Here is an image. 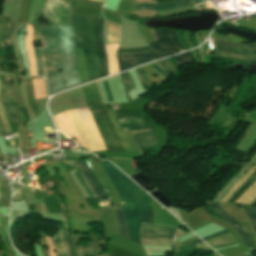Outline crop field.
Returning <instances> with one entry per match:
<instances>
[{"label":"crop field","instance_id":"obj_1","mask_svg":"<svg viewBox=\"0 0 256 256\" xmlns=\"http://www.w3.org/2000/svg\"><path fill=\"white\" fill-rule=\"evenodd\" d=\"M73 7V4L63 0H48L42 15L51 24L41 28L50 96L81 84L73 40ZM58 69H62L63 73H59Z\"/></svg>","mask_w":256,"mask_h":256},{"label":"crop field","instance_id":"obj_2","mask_svg":"<svg viewBox=\"0 0 256 256\" xmlns=\"http://www.w3.org/2000/svg\"><path fill=\"white\" fill-rule=\"evenodd\" d=\"M101 164L124 202L123 208L129 237L131 240L141 244L140 228L142 223L153 224L150 197L109 162L105 161L101 162ZM123 208L122 206H116V211L121 234L129 239Z\"/></svg>","mask_w":256,"mask_h":256},{"label":"crop field","instance_id":"obj_3","mask_svg":"<svg viewBox=\"0 0 256 256\" xmlns=\"http://www.w3.org/2000/svg\"><path fill=\"white\" fill-rule=\"evenodd\" d=\"M103 23L104 19H74V39L82 84L108 75Z\"/></svg>","mask_w":256,"mask_h":256},{"label":"crop field","instance_id":"obj_4","mask_svg":"<svg viewBox=\"0 0 256 256\" xmlns=\"http://www.w3.org/2000/svg\"><path fill=\"white\" fill-rule=\"evenodd\" d=\"M69 112L83 140L84 146L89 148L90 151L105 149L124 151L106 111L91 112L103 138L105 149L88 107L70 110Z\"/></svg>","mask_w":256,"mask_h":256},{"label":"crop field","instance_id":"obj_5","mask_svg":"<svg viewBox=\"0 0 256 256\" xmlns=\"http://www.w3.org/2000/svg\"><path fill=\"white\" fill-rule=\"evenodd\" d=\"M212 38L216 45L217 55L256 59V45L240 46L213 36Z\"/></svg>","mask_w":256,"mask_h":256},{"label":"crop field","instance_id":"obj_6","mask_svg":"<svg viewBox=\"0 0 256 256\" xmlns=\"http://www.w3.org/2000/svg\"><path fill=\"white\" fill-rule=\"evenodd\" d=\"M157 41L150 43L156 59L167 57L178 53L174 46L167 29H150Z\"/></svg>","mask_w":256,"mask_h":256},{"label":"crop field","instance_id":"obj_7","mask_svg":"<svg viewBox=\"0 0 256 256\" xmlns=\"http://www.w3.org/2000/svg\"><path fill=\"white\" fill-rule=\"evenodd\" d=\"M40 17H41V14L35 13L34 19H33V24H32L34 40H39L38 28H39ZM32 30H31V26L27 25V33L25 35V45H26V52H27L31 76H37L35 58H34V54H33Z\"/></svg>","mask_w":256,"mask_h":256},{"label":"crop field","instance_id":"obj_8","mask_svg":"<svg viewBox=\"0 0 256 256\" xmlns=\"http://www.w3.org/2000/svg\"><path fill=\"white\" fill-rule=\"evenodd\" d=\"M207 204L222 218H224L226 221H228L238 232L241 239L244 241L245 245L247 246L248 250L255 249V245L249 234L247 233L246 229L237 222L234 218H232L230 215H228L217 202H210L206 201Z\"/></svg>","mask_w":256,"mask_h":256},{"label":"crop field","instance_id":"obj_9","mask_svg":"<svg viewBox=\"0 0 256 256\" xmlns=\"http://www.w3.org/2000/svg\"><path fill=\"white\" fill-rule=\"evenodd\" d=\"M90 238L93 240L89 243V246L87 248L83 247V246H79L77 247L75 245V243H77L78 239H87V237L81 236V235H73L72 237V241L74 243V247L76 250V255L77 256H86V254H90V256H98V252L100 249L99 246H101L102 244H104V238H102L101 236H99L98 234H92L89 233ZM99 238H102L103 241H100ZM103 256H109L108 254H105Z\"/></svg>","mask_w":256,"mask_h":256},{"label":"crop field","instance_id":"obj_10","mask_svg":"<svg viewBox=\"0 0 256 256\" xmlns=\"http://www.w3.org/2000/svg\"><path fill=\"white\" fill-rule=\"evenodd\" d=\"M117 57H118L120 72L155 59L152 52L141 53V54H131V55H121Z\"/></svg>","mask_w":256,"mask_h":256},{"label":"crop field","instance_id":"obj_11","mask_svg":"<svg viewBox=\"0 0 256 256\" xmlns=\"http://www.w3.org/2000/svg\"><path fill=\"white\" fill-rule=\"evenodd\" d=\"M204 2V0H180L172 3H161V4H135L134 10H163L172 9L184 5L195 4Z\"/></svg>","mask_w":256,"mask_h":256},{"label":"crop field","instance_id":"obj_12","mask_svg":"<svg viewBox=\"0 0 256 256\" xmlns=\"http://www.w3.org/2000/svg\"><path fill=\"white\" fill-rule=\"evenodd\" d=\"M78 166L80 167L82 174L84 178L87 180L89 185L91 186L93 192L96 194L97 197H103L106 196L101 186L98 184V182L95 180V178L90 173L85 161H77Z\"/></svg>","mask_w":256,"mask_h":256},{"label":"crop field","instance_id":"obj_13","mask_svg":"<svg viewBox=\"0 0 256 256\" xmlns=\"http://www.w3.org/2000/svg\"><path fill=\"white\" fill-rule=\"evenodd\" d=\"M138 148L153 145L156 143V135L155 132L150 131H143V132H135L131 133Z\"/></svg>","mask_w":256,"mask_h":256},{"label":"crop field","instance_id":"obj_14","mask_svg":"<svg viewBox=\"0 0 256 256\" xmlns=\"http://www.w3.org/2000/svg\"><path fill=\"white\" fill-rule=\"evenodd\" d=\"M253 158V157H252ZM256 162V155L254 158L237 174L235 175L225 187L214 197L213 201H219L223 195L244 175V173L251 168Z\"/></svg>","mask_w":256,"mask_h":256},{"label":"crop field","instance_id":"obj_15","mask_svg":"<svg viewBox=\"0 0 256 256\" xmlns=\"http://www.w3.org/2000/svg\"><path fill=\"white\" fill-rule=\"evenodd\" d=\"M122 129L129 132L152 129L146 121L120 123Z\"/></svg>","mask_w":256,"mask_h":256},{"label":"crop field","instance_id":"obj_16","mask_svg":"<svg viewBox=\"0 0 256 256\" xmlns=\"http://www.w3.org/2000/svg\"><path fill=\"white\" fill-rule=\"evenodd\" d=\"M255 171L256 164L232 187V189L220 201L226 202Z\"/></svg>","mask_w":256,"mask_h":256},{"label":"crop field","instance_id":"obj_17","mask_svg":"<svg viewBox=\"0 0 256 256\" xmlns=\"http://www.w3.org/2000/svg\"><path fill=\"white\" fill-rule=\"evenodd\" d=\"M5 84L7 86L8 95H9L13 115L17 120V124L19 125L21 123V119H20V116H19V113H18V110H17V107H16L14 97H13V90H12V86L9 82V75H5Z\"/></svg>","mask_w":256,"mask_h":256},{"label":"crop field","instance_id":"obj_18","mask_svg":"<svg viewBox=\"0 0 256 256\" xmlns=\"http://www.w3.org/2000/svg\"><path fill=\"white\" fill-rule=\"evenodd\" d=\"M118 47H119V45H112L115 73L119 72L118 66H117V60H116V50ZM106 50H107V54H108V64H109L110 75H112V74H114V69H113V58H112V52H111V45H106Z\"/></svg>","mask_w":256,"mask_h":256},{"label":"crop field","instance_id":"obj_19","mask_svg":"<svg viewBox=\"0 0 256 256\" xmlns=\"http://www.w3.org/2000/svg\"><path fill=\"white\" fill-rule=\"evenodd\" d=\"M60 231H61L60 244H61L63 256H69L68 248H67V245H66V242H65L63 231L62 230H60ZM52 242H53L54 248L57 249L56 256H62V252H61V248H60L59 241H58V238H57V234L54 236Z\"/></svg>","mask_w":256,"mask_h":256},{"label":"crop field","instance_id":"obj_20","mask_svg":"<svg viewBox=\"0 0 256 256\" xmlns=\"http://www.w3.org/2000/svg\"><path fill=\"white\" fill-rule=\"evenodd\" d=\"M26 33V25L21 26V33L19 35V45H20V54L24 62V67L26 68V76H30L27 57L25 52V45H24V34Z\"/></svg>","mask_w":256,"mask_h":256},{"label":"crop field","instance_id":"obj_21","mask_svg":"<svg viewBox=\"0 0 256 256\" xmlns=\"http://www.w3.org/2000/svg\"><path fill=\"white\" fill-rule=\"evenodd\" d=\"M43 80H44L43 78L32 79V85H33V89H34L35 99L46 97L47 93L45 94V89H44V83H45V88H46V82L44 81V83H43Z\"/></svg>","mask_w":256,"mask_h":256},{"label":"crop field","instance_id":"obj_22","mask_svg":"<svg viewBox=\"0 0 256 256\" xmlns=\"http://www.w3.org/2000/svg\"><path fill=\"white\" fill-rule=\"evenodd\" d=\"M256 197V182L235 202L250 204Z\"/></svg>","mask_w":256,"mask_h":256},{"label":"crop field","instance_id":"obj_23","mask_svg":"<svg viewBox=\"0 0 256 256\" xmlns=\"http://www.w3.org/2000/svg\"><path fill=\"white\" fill-rule=\"evenodd\" d=\"M256 181V173L249 178V180L236 192V194L228 201L234 202L239 196H241L254 182Z\"/></svg>","mask_w":256,"mask_h":256},{"label":"crop field","instance_id":"obj_24","mask_svg":"<svg viewBox=\"0 0 256 256\" xmlns=\"http://www.w3.org/2000/svg\"><path fill=\"white\" fill-rule=\"evenodd\" d=\"M172 241L173 240L142 239V245L172 247Z\"/></svg>","mask_w":256,"mask_h":256},{"label":"crop field","instance_id":"obj_25","mask_svg":"<svg viewBox=\"0 0 256 256\" xmlns=\"http://www.w3.org/2000/svg\"><path fill=\"white\" fill-rule=\"evenodd\" d=\"M62 218H63L64 225L66 227L65 233H66V240H67V243H68L70 256H76L75 253H74V248L72 246V242H71V238H70L69 223L67 221V219H68L67 214H62Z\"/></svg>","mask_w":256,"mask_h":256},{"label":"crop field","instance_id":"obj_26","mask_svg":"<svg viewBox=\"0 0 256 256\" xmlns=\"http://www.w3.org/2000/svg\"><path fill=\"white\" fill-rule=\"evenodd\" d=\"M241 207L244 209V211L247 213L248 217L251 219L253 227L256 231V207L251 205H242Z\"/></svg>","mask_w":256,"mask_h":256},{"label":"crop field","instance_id":"obj_27","mask_svg":"<svg viewBox=\"0 0 256 256\" xmlns=\"http://www.w3.org/2000/svg\"><path fill=\"white\" fill-rule=\"evenodd\" d=\"M149 51H151L149 46L140 47V48H124V49H118L117 55L139 53V52H149Z\"/></svg>","mask_w":256,"mask_h":256},{"label":"crop field","instance_id":"obj_28","mask_svg":"<svg viewBox=\"0 0 256 256\" xmlns=\"http://www.w3.org/2000/svg\"><path fill=\"white\" fill-rule=\"evenodd\" d=\"M174 58L179 63L180 66L194 60L191 51L174 56Z\"/></svg>","mask_w":256,"mask_h":256},{"label":"crop field","instance_id":"obj_29","mask_svg":"<svg viewBox=\"0 0 256 256\" xmlns=\"http://www.w3.org/2000/svg\"><path fill=\"white\" fill-rule=\"evenodd\" d=\"M8 19L9 18L2 16L0 20V45H5V31Z\"/></svg>","mask_w":256,"mask_h":256},{"label":"crop field","instance_id":"obj_30","mask_svg":"<svg viewBox=\"0 0 256 256\" xmlns=\"http://www.w3.org/2000/svg\"><path fill=\"white\" fill-rule=\"evenodd\" d=\"M0 116H1V120H2V123H3V126L6 130V132L7 133H12L11 129H10L9 122H8L7 115H6V112H5V109L3 108V105L1 103V99H0Z\"/></svg>","mask_w":256,"mask_h":256},{"label":"crop field","instance_id":"obj_31","mask_svg":"<svg viewBox=\"0 0 256 256\" xmlns=\"http://www.w3.org/2000/svg\"><path fill=\"white\" fill-rule=\"evenodd\" d=\"M34 53H35V56H36V59H37L38 76H44V70H43V63H42L40 48L34 49Z\"/></svg>","mask_w":256,"mask_h":256},{"label":"crop field","instance_id":"obj_32","mask_svg":"<svg viewBox=\"0 0 256 256\" xmlns=\"http://www.w3.org/2000/svg\"><path fill=\"white\" fill-rule=\"evenodd\" d=\"M174 235L142 233V238L173 239Z\"/></svg>","mask_w":256,"mask_h":256},{"label":"crop field","instance_id":"obj_33","mask_svg":"<svg viewBox=\"0 0 256 256\" xmlns=\"http://www.w3.org/2000/svg\"><path fill=\"white\" fill-rule=\"evenodd\" d=\"M159 65L163 67L169 74L174 73L177 69L167 60L158 61Z\"/></svg>","mask_w":256,"mask_h":256},{"label":"crop field","instance_id":"obj_34","mask_svg":"<svg viewBox=\"0 0 256 256\" xmlns=\"http://www.w3.org/2000/svg\"><path fill=\"white\" fill-rule=\"evenodd\" d=\"M121 76H122V80H123L126 91H129L130 89H132V81L128 72L122 73Z\"/></svg>","mask_w":256,"mask_h":256},{"label":"crop field","instance_id":"obj_35","mask_svg":"<svg viewBox=\"0 0 256 256\" xmlns=\"http://www.w3.org/2000/svg\"><path fill=\"white\" fill-rule=\"evenodd\" d=\"M13 24L11 21H9V26H8V29L6 32V42H7V45H9V46H11V44H12V35H13L14 28H15V26Z\"/></svg>","mask_w":256,"mask_h":256},{"label":"crop field","instance_id":"obj_36","mask_svg":"<svg viewBox=\"0 0 256 256\" xmlns=\"http://www.w3.org/2000/svg\"><path fill=\"white\" fill-rule=\"evenodd\" d=\"M153 70L160 76V78L164 81L169 74L166 73L158 64L151 66Z\"/></svg>","mask_w":256,"mask_h":256},{"label":"crop field","instance_id":"obj_37","mask_svg":"<svg viewBox=\"0 0 256 256\" xmlns=\"http://www.w3.org/2000/svg\"><path fill=\"white\" fill-rule=\"evenodd\" d=\"M76 176L78 177V179L80 180L81 184L83 185V187L85 188V190L87 191V193L90 195V197L95 198V196L92 194V192L90 191L89 187L87 186V184L84 182V180L81 178L78 169L74 170ZM96 199V198H95Z\"/></svg>","mask_w":256,"mask_h":256},{"label":"crop field","instance_id":"obj_38","mask_svg":"<svg viewBox=\"0 0 256 256\" xmlns=\"http://www.w3.org/2000/svg\"><path fill=\"white\" fill-rule=\"evenodd\" d=\"M137 73L139 74L141 80H142L145 84H147V85H149V86L153 85V83H152V82L149 80V78L147 77V75H146L144 69L137 70Z\"/></svg>","mask_w":256,"mask_h":256},{"label":"crop field","instance_id":"obj_39","mask_svg":"<svg viewBox=\"0 0 256 256\" xmlns=\"http://www.w3.org/2000/svg\"><path fill=\"white\" fill-rule=\"evenodd\" d=\"M168 31H169L170 36L172 37L173 41L175 42L179 52L183 51V48H182V46L180 45V43H179V41L177 39L175 30H168Z\"/></svg>","mask_w":256,"mask_h":256},{"label":"crop field","instance_id":"obj_40","mask_svg":"<svg viewBox=\"0 0 256 256\" xmlns=\"http://www.w3.org/2000/svg\"><path fill=\"white\" fill-rule=\"evenodd\" d=\"M0 93L1 95L7 94V90L4 84V78L2 74H0Z\"/></svg>","mask_w":256,"mask_h":256},{"label":"crop field","instance_id":"obj_41","mask_svg":"<svg viewBox=\"0 0 256 256\" xmlns=\"http://www.w3.org/2000/svg\"><path fill=\"white\" fill-rule=\"evenodd\" d=\"M142 229H166V230H176L175 228H166V227H162V226H151V225H147V224H143V228Z\"/></svg>","mask_w":256,"mask_h":256},{"label":"crop field","instance_id":"obj_42","mask_svg":"<svg viewBox=\"0 0 256 256\" xmlns=\"http://www.w3.org/2000/svg\"><path fill=\"white\" fill-rule=\"evenodd\" d=\"M46 237V236H45ZM47 246L49 248L50 256H55L54 248L50 237H46Z\"/></svg>","mask_w":256,"mask_h":256},{"label":"crop field","instance_id":"obj_43","mask_svg":"<svg viewBox=\"0 0 256 256\" xmlns=\"http://www.w3.org/2000/svg\"><path fill=\"white\" fill-rule=\"evenodd\" d=\"M18 108H19V112H20V116L22 118V121L25 123L26 121L29 120V118H28V116L26 114V111H25V109H23V108H21L19 106H18Z\"/></svg>","mask_w":256,"mask_h":256},{"label":"crop field","instance_id":"obj_44","mask_svg":"<svg viewBox=\"0 0 256 256\" xmlns=\"http://www.w3.org/2000/svg\"><path fill=\"white\" fill-rule=\"evenodd\" d=\"M2 103H3V102H2ZM3 105H4V107H5L6 111H7V114H8L9 120H11V121H15V119H14V117H13L12 113H11L10 106H9L8 104H5V103H3ZM15 122H16V121H15Z\"/></svg>","mask_w":256,"mask_h":256},{"label":"crop field","instance_id":"obj_45","mask_svg":"<svg viewBox=\"0 0 256 256\" xmlns=\"http://www.w3.org/2000/svg\"><path fill=\"white\" fill-rule=\"evenodd\" d=\"M142 232H154V233L175 234V232H176V231H165V230H142Z\"/></svg>","mask_w":256,"mask_h":256},{"label":"crop field","instance_id":"obj_46","mask_svg":"<svg viewBox=\"0 0 256 256\" xmlns=\"http://www.w3.org/2000/svg\"><path fill=\"white\" fill-rule=\"evenodd\" d=\"M199 242H201V240H199V241H197V242H194V243H192V244H189V245L180 247L179 249H180V251L182 252V251H185V250H189V249L195 248V245H194V244L199 243Z\"/></svg>","mask_w":256,"mask_h":256},{"label":"crop field","instance_id":"obj_47","mask_svg":"<svg viewBox=\"0 0 256 256\" xmlns=\"http://www.w3.org/2000/svg\"><path fill=\"white\" fill-rule=\"evenodd\" d=\"M226 233H229L228 231L224 230V231H221L219 233H216V234H213L211 236H208V237H205L203 238L204 241L208 240V239H211V238H214L216 236H219V235H222V234H226Z\"/></svg>","mask_w":256,"mask_h":256},{"label":"crop field","instance_id":"obj_48","mask_svg":"<svg viewBox=\"0 0 256 256\" xmlns=\"http://www.w3.org/2000/svg\"><path fill=\"white\" fill-rule=\"evenodd\" d=\"M133 120H144V119H142V118L126 119V120H118V122H123V121H133Z\"/></svg>","mask_w":256,"mask_h":256},{"label":"crop field","instance_id":"obj_49","mask_svg":"<svg viewBox=\"0 0 256 256\" xmlns=\"http://www.w3.org/2000/svg\"><path fill=\"white\" fill-rule=\"evenodd\" d=\"M6 134L2 125H1V121H0V135Z\"/></svg>","mask_w":256,"mask_h":256},{"label":"crop field","instance_id":"obj_50","mask_svg":"<svg viewBox=\"0 0 256 256\" xmlns=\"http://www.w3.org/2000/svg\"><path fill=\"white\" fill-rule=\"evenodd\" d=\"M8 142H9V145H10V146H12V145L15 146V141H14V140L11 141V142H12V145H11V142H10V141H8Z\"/></svg>","mask_w":256,"mask_h":256},{"label":"crop field","instance_id":"obj_51","mask_svg":"<svg viewBox=\"0 0 256 256\" xmlns=\"http://www.w3.org/2000/svg\"><path fill=\"white\" fill-rule=\"evenodd\" d=\"M92 1L105 2V0H92Z\"/></svg>","mask_w":256,"mask_h":256},{"label":"crop field","instance_id":"obj_52","mask_svg":"<svg viewBox=\"0 0 256 256\" xmlns=\"http://www.w3.org/2000/svg\"><path fill=\"white\" fill-rule=\"evenodd\" d=\"M251 204L256 205V199Z\"/></svg>","mask_w":256,"mask_h":256},{"label":"crop field","instance_id":"obj_53","mask_svg":"<svg viewBox=\"0 0 256 256\" xmlns=\"http://www.w3.org/2000/svg\"><path fill=\"white\" fill-rule=\"evenodd\" d=\"M0 64H1V58H0ZM0 72H3V70L0 68Z\"/></svg>","mask_w":256,"mask_h":256},{"label":"crop field","instance_id":"obj_54","mask_svg":"<svg viewBox=\"0 0 256 256\" xmlns=\"http://www.w3.org/2000/svg\"><path fill=\"white\" fill-rule=\"evenodd\" d=\"M16 193H18V189H16Z\"/></svg>","mask_w":256,"mask_h":256},{"label":"crop field","instance_id":"obj_55","mask_svg":"<svg viewBox=\"0 0 256 256\" xmlns=\"http://www.w3.org/2000/svg\"><path fill=\"white\" fill-rule=\"evenodd\" d=\"M32 192H34V189H33V187H32Z\"/></svg>","mask_w":256,"mask_h":256},{"label":"crop field","instance_id":"obj_56","mask_svg":"<svg viewBox=\"0 0 256 256\" xmlns=\"http://www.w3.org/2000/svg\"><path fill=\"white\" fill-rule=\"evenodd\" d=\"M247 256H250V255H247Z\"/></svg>","mask_w":256,"mask_h":256}]
</instances>
